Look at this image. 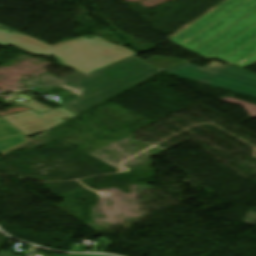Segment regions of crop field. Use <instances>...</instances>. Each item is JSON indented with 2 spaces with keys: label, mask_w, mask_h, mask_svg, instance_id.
<instances>
[{
  "label": "crop field",
  "mask_w": 256,
  "mask_h": 256,
  "mask_svg": "<svg viewBox=\"0 0 256 256\" xmlns=\"http://www.w3.org/2000/svg\"><path fill=\"white\" fill-rule=\"evenodd\" d=\"M241 68L256 62V0H226L168 39Z\"/></svg>",
  "instance_id": "8a807250"
},
{
  "label": "crop field",
  "mask_w": 256,
  "mask_h": 256,
  "mask_svg": "<svg viewBox=\"0 0 256 256\" xmlns=\"http://www.w3.org/2000/svg\"><path fill=\"white\" fill-rule=\"evenodd\" d=\"M158 71L160 70L140 58L132 57L88 75L77 73L63 80L45 74L26 86H36L45 91L61 84L73 89L83 87L79 96L63 105L78 114Z\"/></svg>",
  "instance_id": "ac0d7876"
},
{
  "label": "crop field",
  "mask_w": 256,
  "mask_h": 256,
  "mask_svg": "<svg viewBox=\"0 0 256 256\" xmlns=\"http://www.w3.org/2000/svg\"><path fill=\"white\" fill-rule=\"evenodd\" d=\"M9 44L31 54L52 55L60 64L85 74L135 55L127 48L97 36L91 39L80 37L50 46L0 25V46Z\"/></svg>",
  "instance_id": "34b2d1b8"
},
{
  "label": "crop field",
  "mask_w": 256,
  "mask_h": 256,
  "mask_svg": "<svg viewBox=\"0 0 256 256\" xmlns=\"http://www.w3.org/2000/svg\"><path fill=\"white\" fill-rule=\"evenodd\" d=\"M167 73L256 98V75L229 65L224 66L212 61L209 65L200 68L184 63L167 70Z\"/></svg>",
  "instance_id": "412701ff"
},
{
  "label": "crop field",
  "mask_w": 256,
  "mask_h": 256,
  "mask_svg": "<svg viewBox=\"0 0 256 256\" xmlns=\"http://www.w3.org/2000/svg\"><path fill=\"white\" fill-rule=\"evenodd\" d=\"M24 106L32 110L2 118L25 136L47 131L64 122L65 118L75 116L63 108L52 110L34 100Z\"/></svg>",
  "instance_id": "f4fd0767"
},
{
  "label": "crop field",
  "mask_w": 256,
  "mask_h": 256,
  "mask_svg": "<svg viewBox=\"0 0 256 256\" xmlns=\"http://www.w3.org/2000/svg\"><path fill=\"white\" fill-rule=\"evenodd\" d=\"M24 137L0 117V154L27 141Z\"/></svg>",
  "instance_id": "dd49c442"
},
{
  "label": "crop field",
  "mask_w": 256,
  "mask_h": 256,
  "mask_svg": "<svg viewBox=\"0 0 256 256\" xmlns=\"http://www.w3.org/2000/svg\"><path fill=\"white\" fill-rule=\"evenodd\" d=\"M147 62H150L152 64H154L155 66H157L159 69L164 70L178 62H180L181 60H176V59H168V58H160V57H152L148 60H146Z\"/></svg>",
  "instance_id": "e52e79f7"
},
{
  "label": "crop field",
  "mask_w": 256,
  "mask_h": 256,
  "mask_svg": "<svg viewBox=\"0 0 256 256\" xmlns=\"http://www.w3.org/2000/svg\"><path fill=\"white\" fill-rule=\"evenodd\" d=\"M220 100L226 101V102H230L233 104H237V105H241L243 106L250 114V118L252 117H256V105L253 104H249L240 100H236L230 97H225V98H219Z\"/></svg>",
  "instance_id": "d8731c3e"
},
{
  "label": "crop field",
  "mask_w": 256,
  "mask_h": 256,
  "mask_svg": "<svg viewBox=\"0 0 256 256\" xmlns=\"http://www.w3.org/2000/svg\"><path fill=\"white\" fill-rule=\"evenodd\" d=\"M60 87H64V88H66V89H68V90L74 92V93L77 94V95H78L79 91L82 89V88L79 87V88H77V89H75V90H72V89H69V88H67V87H65V86H63V85H61Z\"/></svg>",
  "instance_id": "5a996713"
},
{
  "label": "crop field",
  "mask_w": 256,
  "mask_h": 256,
  "mask_svg": "<svg viewBox=\"0 0 256 256\" xmlns=\"http://www.w3.org/2000/svg\"><path fill=\"white\" fill-rule=\"evenodd\" d=\"M11 253L8 251H0V256H12Z\"/></svg>",
  "instance_id": "3316defc"
},
{
  "label": "crop field",
  "mask_w": 256,
  "mask_h": 256,
  "mask_svg": "<svg viewBox=\"0 0 256 256\" xmlns=\"http://www.w3.org/2000/svg\"><path fill=\"white\" fill-rule=\"evenodd\" d=\"M67 256H104V255H71V254H67Z\"/></svg>",
  "instance_id": "28ad6ade"
}]
</instances>
